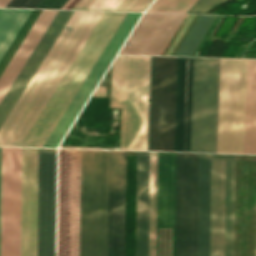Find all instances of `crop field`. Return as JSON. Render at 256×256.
Segmentation results:
<instances>
[{
    "label": "crop field",
    "mask_w": 256,
    "mask_h": 256,
    "mask_svg": "<svg viewBox=\"0 0 256 256\" xmlns=\"http://www.w3.org/2000/svg\"><path fill=\"white\" fill-rule=\"evenodd\" d=\"M78 0H68L61 9H71Z\"/></svg>",
    "instance_id": "crop-field-32"
},
{
    "label": "crop field",
    "mask_w": 256,
    "mask_h": 256,
    "mask_svg": "<svg viewBox=\"0 0 256 256\" xmlns=\"http://www.w3.org/2000/svg\"><path fill=\"white\" fill-rule=\"evenodd\" d=\"M198 154L179 153L178 256H197Z\"/></svg>",
    "instance_id": "crop-field-11"
},
{
    "label": "crop field",
    "mask_w": 256,
    "mask_h": 256,
    "mask_svg": "<svg viewBox=\"0 0 256 256\" xmlns=\"http://www.w3.org/2000/svg\"><path fill=\"white\" fill-rule=\"evenodd\" d=\"M156 181L157 152H150L149 210V152H137L135 256H148V210L149 256H155Z\"/></svg>",
    "instance_id": "crop-field-10"
},
{
    "label": "crop field",
    "mask_w": 256,
    "mask_h": 256,
    "mask_svg": "<svg viewBox=\"0 0 256 256\" xmlns=\"http://www.w3.org/2000/svg\"><path fill=\"white\" fill-rule=\"evenodd\" d=\"M224 1L227 0H198L187 13H205Z\"/></svg>",
    "instance_id": "crop-field-26"
},
{
    "label": "crop field",
    "mask_w": 256,
    "mask_h": 256,
    "mask_svg": "<svg viewBox=\"0 0 256 256\" xmlns=\"http://www.w3.org/2000/svg\"><path fill=\"white\" fill-rule=\"evenodd\" d=\"M192 58L178 57L175 151H189Z\"/></svg>",
    "instance_id": "crop-field-18"
},
{
    "label": "crop field",
    "mask_w": 256,
    "mask_h": 256,
    "mask_svg": "<svg viewBox=\"0 0 256 256\" xmlns=\"http://www.w3.org/2000/svg\"><path fill=\"white\" fill-rule=\"evenodd\" d=\"M218 74L219 59L193 58L190 151L216 152Z\"/></svg>",
    "instance_id": "crop-field-7"
},
{
    "label": "crop field",
    "mask_w": 256,
    "mask_h": 256,
    "mask_svg": "<svg viewBox=\"0 0 256 256\" xmlns=\"http://www.w3.org/2000/svg\"><path fill=\"white\" fill-rule=\"evenodd\" d=\"M103 14L74 11L0 127V145L21 146Z\"/></svg>",
    "instance_id": "crop-field-2"
},
{
    "label": "crop field",
    "mask_w": 256,
    "mask_h": 256,
    "mask_svg": "<svg viewBox=\"0 0 256 256\" xmlns=\"http://www.w3.org/2000/svg\"><path fill=\"white\" fill-rule=\"evenodd\" d=\"M57 11L42 10L0 77V102L44 34ZM73 11H58L11 88L0 103V126L35 73Z\"/></svg>",
    "instance_id": "crop-field-5"
},
{
    "label": "crop field",
    "mask_w": 256,
    "mask_h": 256,
    "mask_svg": "<svg viewBox=\"0 0 256 256\" xmlns=\"http://www.w3.org/2000/svg\"><path fill=\"white\" fill-rule=\"evenodd\" d=\"M109 151L59 149L57 256H107Z\"/></svg>",
    "instance_id": "crop-field-1"
},
{
    "label": "crop field",
    "mask_w": 256,
    "mask_h": 256,
    "mask_svg": "<svg viewBox=\"0 0 256 256\" xmlns=\"http://www.w3.org/2000/svg\"><path fill=\"white\" fill-rule=\"evenodd\" d=\"M56 149L39 148L37 256H54Z\"/></svg>",
    "instance_id": "crop-field-14"
},
{
    "label": "crop field",
    "mask_w": 256,
    "mask_h": 256,
    "mask_svg": "<svg viewBox=\"0 0 256 256\" xmlns=\"http://www.w3.org/2000/svg\"><path fill=\"white\" fill-rule=\"evenodd\" d=\"M246 60L220 59L217 152L243 153Z\"/></svg>",
    "instance_id": "crop-field-6"
},
{
    "label": "crop field",
    "mask_w": 256,
    "mask_h": 256,
    "mask_svg": "<svg viewBox=\"0 0 256 256\" xmlns=\"http://www.w3.org/2000/svg\"><path fill=\"white\" fill-rule=\"evenodd\" d=\"M244 153H256V60H247Z\"/></svg>",
    "instance_id": "crop-field-20"
},
{
    "label": "crop field",
    "mask_w": 256,
    "mask_h": 256,
    "mask_svg": "<svg viewBox=\"0 0 256 256\" xmlns=\"http://www.w3.org/2000/svg\"><path fill=\"white\" fill-rule=\"evenodd\" d=\"M216 16L199 15L175 55L192 56Z\"/></svg>",
    "instance_id": "crop-field-22"
},
{
    "label": "crop field",
    "mask_w": 256,
    "mask_h": 256,
    "mask_svg": "<svg viewBox=\"0 0 256 256\" xmlns=\"http://www.w3.org/2000/svg\"><path fill=\"white\" fill-rule=\"evenodd\" d=\"M150 57L118 55L110 107L122 108L120 149L147 150Z\"/></svg>",
    "instance_id": "crop-field-3"
},
{
    "label": "crop field",
    "mask_w": 256,
    "mask_h": 256,
    "mask_svg": "<svg viewBox=\"0 0 256 256\" xmlns=\"http://www.w3.org/2000/svg\"><path fill=\"white\" fill-rule=\"evenodd\" d=\"M211 154H199L198 256H209Z\"/></svg>",
    "instance_id": "crop-field-19"
},
{
    "label": "crop field",
    "mask_w": 256,
    "mask_h": 256,
    "mask_svg": "<svg viewBox=\"0 0 256 256\" xmlns=\"http://www.w3.org/2000/svg\"><path fill=\"white\" fill-rule=\"evenodd\" d=\"M125 180L126 151H110L108 256H125Z\"/></svg>",
    "instance_id": "crop-field-15"
},
{
    "label": "crop field",
    "mask_w": 256,
    "mask_h": 256,
    "mask_svg": "<svg viewBox=\"0 0 256 256\" xmlns=\"http://www.w3.org/2000/svg\"><path fill=\"white\" fill-rule=\"evenodd\" d=\"M67 0H41L35 8L60 9Z\"/></svg>",
    "instance_id": "crop-field-29"
},
{
    "label": "crop field",
    "mask_w": 256,
    "mask_h": 256,
    "mask_svg": "<svg viewBox=\"0 0 256 256\" xmlns=\"http://www.w3.org/2000/svg\"><path fill=\"white\" fill-rule=\"evenodd\" d=\"M40 12H41V10H32V12L30 13L29 17L25 21V23L22 26V28L20 29L19 33L17 34V36L13 40L12 44L8 48L7 52L3 56L2 60L0 61V75L2 74L5 67L7 66L9 61L11 60L12 56L16 52L17 48L21 44L22 40L24 39V37L28 33L29 29L33 25L34 21L36 20V18L38 17Z\"/></svg>",
    "instance_id": "crop-field-23"
},
{
    "label": "crop field",
    "mask_w": 256,
    "mask_h": 256,
    "mask_svg": "<svg viewBox=\"0 0 256 256\" xmlns=\"http://www.w3.org/2000/svg\"><path fill=\"white\" fill-rule=\"evenodd\" d=\"M184 17L144 13L120 54L161 55Z\"/></svg>",
    "instance_id": "crop-field-17"
},
{
    "label": "crop field",
    "mask_w": 256,
    "mask_h": 256,
    "mask_svg": "<svg viewBox=\"0 0 256 256\" xmlns=\"http://www.w3.org/2000/svg\"><path fill=\"white\" fill-rule=\"evenodd\" d=\"M155 57H151L148 150H151ZM177 57H156L152 150L174 151Z\"/></svg>",
    "instance_id": "crop-field-8"
},
{
    "label": "crop field",
    "mask_w": 256,
    "mask_h": 256,
    "mask_svg": "<svg viewBox=\"0 0 256 256\" xmlns=\"http://www.w3.org/2000/svg\"><path fill=\"white\" fill-rule=\"evenodd\" d=\"M125 15L105 12L22 146L42 147Z\"/></svg>",
    "instance_id": "crop-field-4"
},
{
    "label": "crop field",
    "mask_w": 256,
    "mask_h": 256,
    "mask_svg": "<svg viewBox=\"0 0 256 256\" xmlns=\"http://www.w3.org/2000/svg\"><path fill=\"white\" fill-rule=\"evenodd\" d=\"M38 148H22L21 256H36Z\"/></svg>",
    "instance_id": "crop-field-16"
},
{
    "label": "crop field",
    "mask_w": 256,
    "mask_h": 256,
    "mask_svg": "<svg viewBox=\"0 0 256 256\" xmlns=\"http://www.w3.org/2000/svg\"><path fill=\"white\" fill-rule=\"evenodd\" d=\"M0 209H1V147H0Z\"/></svg>",
    "instance_id": "crop-field-33"
},
{
    "label": "crop field",
    "mask_w": 256,
    "mask_h": 256,
    "mask_svg": "<svg viewBox=\"0 0 256 256\" xmlns=\"http://www.w3.org/2000/svg\"><path fill=\"white\" fill-rule=\"evenodd\" d=\"M153 0H123L114 11L143 12Z\"/></svg>",
    "instance_id": "crop-field-25"
},
{
    "label": "crop field",
    "mask_w": 256,
    "mask_h": 256,
    "mask_svg": "<svg viewBox=\"0 0 256 256\" xmlns=\"http://www.w3.org/2000/svg\"><path fill=\"white\" fill-rule=\"evenodd\" d=\"M175 210H176V153L158 152L157 181V240L159 230L172 231V256H175ZM177 211H178V153H177ZM176 211V256H177ZM159 256H171V232L160 231Z\"/></svg>",
    "instance_id": "crop-field-12"
},
{
    "label": "crop field",
    "mask_w": 256,
    "mask_h": 256,
    "mask_svg": "<svg viewBox=\"0 0 256 256\" xmlns=\"http://www.w3.org/2000/svg\"><path fill=\"white\" fill-rule=\"evenodd\" d=\"M9 2L10 0H0V7H5Z\"/></svg>",
    "instance_id": "crop-field-34"
},
{
    "label": "crop field",
    "mask_w": 256,
    "mask_h": 256,
    "mask_svg": "<svg viewBox=\"0 0 256 256\" xmlns=\"http://www.w3.org/2000/svg\"><path fill=\"white\" fill-rule=\"evenodd\" d=\"M194 17H195V15H189V17L187 18L186 22L184 23V25L180 29L179 33L175 37L174 41L172 42V44L168 48V50L165 53V55H170V53L172 52V50L174 49V47L176 46V44L178 43V41L180 40V38L182 37L183 33L185 32V30L187 29V27L189 26V24L191 23V21L193 20Z\"/></svg>",
    "instance_id": "crop-field-28"
},
{
    "label": "crop field",
    "mask_w": 256,
    "mask_h": 256,
    "mask_svg": "<svg viewBox=\"0 0 256 256\" xmlns=\"http://www.w3.org/2000/svg\"><path fill=\"white\" fill-rule=\"evenodd\" d=\"M95 0H79L72 9L87 10Z\"/></svg>",
    "instance_id": "crop-field-31"
},
{
    "label": "crop field",
    "mask_w": 256,
    "mask_h": 256,
    "mask_svg": "<svg viewBox=\"0 0 256 256\" xmlns=\"http://www.w3.org/2000/svg\"><path fill=\"white\" fill-rule=\"evenodd\" d=\"M122 0H96L88 10L113 11Z\"/></svg>",
    "instance_id": "crop-field-27"
},
{
    "label": "crop field",
    "mask_w": 256,
    "mask_h": 256,
    "mask_svg": "<svg viewBox=\"0 0 256 256\" xmlns=\"http://www.w3.org/2000/svg\"><path fill=\"white\" fill-rule=\"evenodd\" d=\"M40 0H12L6 7L34 8Z\"/></svg>",
    "instance_id": "crop-field-30"
},
{
    "label": "crop field",
    "mask_w": 256,
    "mask_h": 256,
    "mask_svg": "<svg viewBox=\"0 0 256 256\" xmlns=\"http://www.w3.org/2000/svg\"><path fill=\"white\" fill-rule=\"evenodd\" d=\"M31 10L1 9L0 11V59L16 36ZM12 13V15H10Z\"/></svg>",
    "instance_id": "crop-field-21"
},
{
    "label": "crop field",
    "mask_w": 256,
    "mask_h": 256,
    "mask_svg": "<svg viewBox=\"0 0 256 256\" xmlns=\"http://www.w3.org/2000/svg\"><path fill=\"white\" fill-rule=\"evenodd\" d=\"M196 1L197 0H156L147 11L185 13Z\"/></svg>",
    "instance_id": "crop-field-24"
},
{
    "label": "crop field",
    "mask_w": 256,
    "mask_h": 256,
    "mask_svg": "<svg viewBox=\"0 0 256 256\" xmlns=\"http://www.w3.org/2000/svg\"><path fill=\"white\" fill-rule=\"evenodd\" d=\"M141 13H127L43 147H57Z\"/></svg>",
    "instance_id": "crop-field-13"
},
{
    "label": "crop field",
    "mask_w": 256,
    "mask_h": 256,
    "mask_svg": "<svg viewBox=\"0 0 256 256\" xmlns=\"http://www.w3.org/2000/svg\"><path fill=\"white\" fill-rule=\"evenodd\" d=\"M21 148L2 147L1 256H20Z\"/></svg>",
    "instance_id": "crop-field-9"
}]
</instances>
